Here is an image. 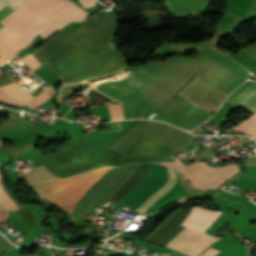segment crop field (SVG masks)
Returning a JSON list of instances; mask_svg holds the SVG:
<instances>
[{
	"label": "crop field",
	"instance_id": "obj_1",
	"mask_svg": "<svg viewBox=\"0 0 256 256\" xmlns=\"http://www.w3.org/2000/svg\"><path fill=\"white\" fill-rule=\"evenodd\" d=\"M173 61L147 62L133 67L122 79L105 82L93 89L121 104L174 67L177 63ZM194 75L183 66L176 65L121 104L125 119L149 118Z\"/></svg>",
	"mask_w": 256,
	"mask_h": 256
},
{
	"label": "crop field",
	"instance_id": "obj_2",
	"mask_svg": "<svg viewBox=\"0 0 256 256\" xmlns=\"http://www.w3.org/2000/svg\"><path fill=\"white\" fill-rule=\"evenodd\" d=\"M88 16L70 0H28L0 23L30 42L38 32L51 26Z\"/></svg>",
	"mask_w": 256,
	"mask_h": 256
},
{
	"label": "crop field",
	"instance_id": "obj_3",
	"mask_svg": "<svg viewBox=\"0 0 256 256\" xmlns=\"http://www.w3.org/2000/svg\"><path fill=\"white\" fill-rule=\"evenodd\" d=\"M112 167H103L81 175L57 180L49 171L40 168L25 174L27 182L40 195L67 213L72 212L79 199ZM78 204V203H77Z\"/></svg>",
	"mask_w": 256,
	"mask_h": 256
},
{
	"label": "crop field",
	"instance_id": "obj_4",
	"mask_svg": "<svg viewBox=\"0 0 256 256\" xmlns=\"http://www.w3.org/2000/svg\"><path fill=\"white\" fill-rule=\"evenodd\" d=\"M169 168L153 164L150 173L143 182L132 192L120 200L119 204L135 210L140 206L154 191H156L166 180ZM176 183V172L169 170L167 180L154 192L136 211L143 213L156 200L168 192Z\"/></svg>",
	"mask_w": 256,
	"mask_h": 256
},
{
	"label": "crop field",
	"instance_id": "obj_5",
	"mask_svg": "<svg viewBox=\"0 0 256 256\" xmlns=\"http://www.w3.org/2000/svg\"><path fill=\"white\" fill-rule=\"evenodd\" d=\"M66 34L91 57L106 48L117 23L113 12H100Z\"/></svg>",
	"mask_w": 256,
	"mask_h": 256
},
{
	"label": "crop field",
	"instance_id": "obj_6",
	"mask_svg": "<svg viewBox=\"0 0 256 256\" xmlns=\"http://www.w3.org/2000/svg\"><path fill=\"white\" fill-rule=\"evenodd\" d=\"M137 166L132 165L111 170L89 189L74 209L73 214L84 219L94 203L103 206Z\"/></svg>",
	"mask_w": 256,
	"mask_h": 256
},
{
	"label": "crop field",
	"instance_id": "obj_7",
	"mask_svg": "<svg viewBox=\"0 0 256 256\" xmlns=\"http://www.w3.org/2000/svg\"><path fill=\"white\" fill-rule=\"evenodd\" d=\"M211 115L199 106L175 95L152 119L163 120L191 131Z\"/></svg>",
	"mask_w": 256,
	"mask_h": 256
},
{
	"label": "crop field",
	"instance_id": "obj_8",
	"mask_svg": "<svg viewBox=\"0 0 256 256\" xmlns=\"http://www.w3.org/2000/svg\"><path fill=\"white\" fill-rule=\"evenodd\" d=\"M230 93L196 75L177 95L213 113Z\"/></svg>",
	"mask_w": 256,
	"mask_h": 256
},
{
	"label": "crop field",
	"instance_id": "obj_9",
	"mask_svg": "<svg viewBox=\"0 0 256 256\" xmlns=\"http://www.w3.org/2000/svg\"><path fill=\"white\" fill-rule=\"evenodd\" d=\"M239 171L235 165L211 168L204 162H195L180 171L183 178L195 187L212 189Z\"/></svg>",
	"mask_w": 256,
	"mask_h": 256
},
{
	"label": "crop field",
	"instance_id": "obj_10",
	"mask_svg": "<svg viewBox=\"0 0 256 256\" xmlns=\"http://www.w3.org/2000/svg\"><path fill=\"white\" fill-rule=\"evenodd\" d=\"M218 239L198 230L185 227L166 247L190 256H197Z\"/></svg>",
	"mask_w": 256,
	"mask_h": 256
},
{
	"label": "crop field",
	"instance_id": "obj_11",
	"mask_svg": "<svg viewBox=\"0 0 256 256\" xmlns=\"http://www.w3.org/2000/svg\"><path fill=\"white\" fill-rule=\"evenodd\" d=\"M28 43L3 26L0 29V65L10 60L16 51L28 45Z\"/></svg>",
	"mask_w": 256,
	"mask_h": 256
},
{
	"label": "crop field",
	"instance_id": "obj_12",
	"mask_svg": "<svg viewBox=\"0 0 256 256\" xmlns=\"http://www.w3.org/2000/svg\"><path fill=\"white\" fill-rule=\"evenodd\" d=\"M220 214L219 211H210L194 206L181 225L205 232Z\"/></svg>",
	"mask_w": 256,
	"mask_h": 256
},
{
	"label": "crop field",
	"instance_id": "obj_13",
	"mask_svg": "<svg viewBox=\"0 0 256 256\" xmlns=\"http://www.w3.org/2000/svg\"><path fill=\"white\" fill-rule=\"evenodd\" d=\"M172 14L179 16L204 10L207 0H164Z\"/></svg>",
	"mask_w": 256,
	"mask_h": 256
},
{
	"label": "crop field",
	"instance_id": "obj_14",
	"mask_svg": "<svg viewBox=\"0 0 256 256\" xmlns=\"http://www.w3.org/2000/svg\"><path fill=\"white\" fill-rule=\"evenodd\" d=\"M234 186L241 187L247 191H256V167H246Z\"/></svg>",
	"mask_w": 256,
	"mask_h": 256
},
{
	"label": "crop field",
	"instance_id": "obj_15",
	"mask_svg": "<svg viewBox=\"0 0 256 256\" xmlns=\"http://www.w3.org/2000/svg\"><path fill=\"white\" fill-rule=\"evenodd\" d=\"M0 89L4 91L9 97H12L24 104L30 99L34 98L16 82L3 86Z\"/></svg>",
	"mask_w": 256,
	"mask_h": 256
},
{
	"label": "crop field",
	"instance_id": "obj_16",
	"mask_svg": "<svg viewBox=\"0 0 256 256\" xmlns=\"http://www.w3.org/2000/svg\"><path fill=\"white\" fill-rule=\"evenodd\" d=\"M16 209H20V207L4 189L0 181V210L2 214Z\"/></svg>",
	"mask_w": 256,
	"mask_h": 256
},
{
	"label": "crop field",
	"instance_id": "obj_17",
	"mask_svg": "<svg viewBox=\"0 0 256 256\" xmlns=\"http://www.w3.org/2000/svg\"><path fill=\"white\" fill-rule=\"evenodd\" d=\"M233 128L242 131L248 135L256 136V113H254L252 117L247 119L242 124L234 126Z\"/></svg>",
	"mask_w": 256,
	"mask_h": 256
},
{
	"label": "crop field",
	"instance_id": "obj_18",
	"mask_svg": "<svg viewBox=\"0 0 256 256\" xmlns=\"http://www.w3.org/2000/svg\"><path fill=\"white\" fill-rule=\"evenodd\" d=\"M108 106L112 120L124 119L120 105L108 104Z\"/></svg>",
	"mask_w": 256,
	"mask_h": 256
},
{
	"label": "crop field",
	"instance_id": "obj_19",
	"mask_svg": "<svg viewBox=\"0 0 256 256\" xmlns=\"http://www.w3.org/2000/svg\"><path fill=\"white\" fill-rule=\"evenodd\" d=\"M48 97L47 95H45L44 93H40L39 95H37L34 99L30 100L28 103H26L25 105L31 107V108H36L38 105H40L41 103H43L45 100H47Z\"/></svg>",
	"mask_w": 256,
	"mask_h": 256
},
{
	"label": "crop field",
	"instance_id": "obj_20",
	"mask_svg": "<svg viewBox=\"0 0 256 256\" xmlns=\"http://www.w3.org/2000/svg\"><path fill=\"white\" fill-rule=\"evenodd\" d=\"M25 63L26 65L33 71L35 70L36 68H38L39 66H41L38 61L33 57V55L30 53L29 55L21 58Z\"/></svg>",
	"mask_w": 256,
	"mask_h": 256
},
{
	"label": "crop field",
	"instance_id": "obj_21",
	"mask_svg": "<svg viewBox=\"0 0 256 256\" xmlns=\"http://www.w3.org/2000/svg\"><path fill=\"white\" fill-rule=\"evenodd\" d=\"M25 1L26 0H0V10L7 5L14 10Z\"/></svg>",
	"mask_w": 256,
	"mask_h": 256
},
{
	"label": "crop field",
	"instance_id": "obj_22",
	"mask_svg": "<svg viewBox=\"0 0 256 256\" xmlns=\"http://www.w3.org/2000/svg\"><path fill=\"white\" fill-rule=\"evenodd\" d=\"M198 145V143L194 142V141H190L189 143H187L183 148L180 149V151L188 154L189 152H191L194 148H196Z\"/></svg>",
	"mask_w": 256,
	"mask_h": 256
},
{
	"label": "crop field",
	"instance_id": "obj_23",
	"mask_svg": "<svg viewBox=\"0 0 256 256\" xmlns=\"http://www.w3.org/2000/svg\"><path fill=\"white\" fill-rule=\"evenodd\" d=\"M161 165H166L176 171H178L180 168H182L183 166H185L184 164H182L180 161H176V162H170V163H160Z\"/></svg>",
	"mask_w": 256,
	"mask_h": 256
},
{
	"label": "crop field",
	"instance_id": "obj_24",
	"mask_svg": "<svg viewBox=\"0 0 256 256\" xmlns=\"http://www.w3.org/2000/svg\"><path fill=\"white\" fill-rule=\"evenodd\" d=\"M68 23H70V22H67V23H65V24L58 25V26H56V27H54V28H52V29H50V30H48V31H45V32L39 34V35H41V36L45 39V38H47L48 36H50L52 33H54L55 31H57L58 29H60L61 27H63L64 25H66V24H68Z\"/></svg>",
	"mask_w": 256,
	"mask_h": 256
},
{
	"label": "crop field",
	"instance_id": "obj_25",
	"mask_svg": "<svg viewBox=\"0 0 256 256\" xmlns=\"http://www.w3.org/2000/svg\"><path fill=\"white\" fill-rule=\"evenodd\" d=\"M0 100H1V101H4V102H6V103H9V104H13V105H15L16 103H18V101L9 98V97H8L5 93H3L1 90H0ZM6 103H5V104H6Z\"/></svg>",
	"mask_w": 256,
	"mask_h": 256
},
{
	"label": "crop field",
	"instance_id": "obj_26",
	"mask_svg": "<svg viewBox=\"0 0 256 256\" xmlns=\"http://www.w3.org/2000/svg\"><path fill=\"white\" fill-rule=\"evenodd\" d=\"M14 246L10 245L7 241H5L1 236H0V254L9 249L13 248Z\"/></svg>",
	"mask_w": 256,
	"mask_h": 256
},
{
	"label": "crop field",
	"instance_id": "obj_27",
	"mask_svg": "<svg viewBox=\"0 0 256 256\" xmlns=\"http://www.w3.org/2000/svg\"><path fill=\"white\" fill-rule=\"evenodd\" d=\"M79 1L83 5L84 8H87V7H91V6L95 5V3L98 0H79Z\"/></svg>",
	"mask_w": 256,
	"mask_h": 256
},
{
	"label": "crop field",
	"instance_id": "obj_28",
	"mask_svg": "<svg viewBox=\"0 0 256 256\" xmlns=\"http://www.w3.org/2000/svg\"><path fill=\"white\" fill-rule=\"evenodd\" d=\"M218 252L210 247L202 256H214Z\"/></svg>",
	"mask_w": 256,
	"mask_h": 256
},
{
	"label": "crop field",
	"instance_id": "obj_29",
	"mask_svg": "<svg viewBox=\"0 0 256 256\" xmlns=\"http://www.w3.org/2000/svg\"><path fill=\"white\" fill-rule=\"evenodd\" d=\"M255 143H256V139H254ZM253 153L256 155V148L254 150H252Z\"/></svg>",
	"mask_w": 256,
	"mask_h": 256
}]
</instances>
